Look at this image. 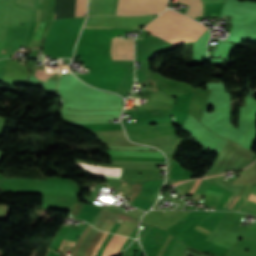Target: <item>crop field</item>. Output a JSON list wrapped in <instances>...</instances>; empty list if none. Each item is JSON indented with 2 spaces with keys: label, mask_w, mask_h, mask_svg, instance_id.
Returning <instances> with one entry per match:
<instances>
[{
  "label": "crop field",
  "mask_w": 256,
  "mask_h": 256,
  "mask_svg": "<svg viewBox=\"0 0 256 256\" xmlns=\"http://www.w3.org/2000/svg\"><path fill=\"white\" fill-rule=\"evenodd\" d=\"M0 185L14 190L26 192H48L75 196L74 188L62 181H36L26 179H6L0 180Z\"/></svg>",
  "instance_id": "obj_1"
},
{
  "label": "crop field",
  "mask_w": 256,
  "mask_h": 256,
  "mask_svg": "<svg viewBox=\"0 0 256 256\" xmlns=\"http://www.w3.org/2000/svg\"><path fill=\"white\" fill-rule=\"evenodd\" d=\"M167 0H119L116 15L158 14L164 11Z\"/></svg>",
  "instance_id": "obj_2"
},
{
  "label": "crop field",
  "mask_w": 256,
  "mask_h": 256,
  "mask_svg": "<svg viewBox=\"0 0 256 256\" xmlns=\"http://www.w3.org/2000/svg\"><path fill=\"white\" fill-rule=\"evenodd\" d=\"M152 15L140 17H110L96 16L87 17L84 27H113L137 29L150 21Z\"/></svg>",
  "instance_id": "obj_3"
},
{
  "label": "crop field",
  "mask_w": 256,
  "mask_h": 256,
  "mask_svg": "<svg viewBox=\"0 0 256 256\" xmlns=\"http://www.w3.org/2000/svg\"><path fill=\"white\" fill-rule=\"evenodd\" d=\"M29 24L11 26L8 31V35L5 41L4 50L5 54L13 55L16 48L24 44L25 36L29 27ZM2 51L3 53L5 51Z\"/></svg>",
  "instance_id": "obj_4"
},
{
  "label": "crop field",
  "mask_w": 256,
  "mask_h": 256,
  "mask_svg": "<svg viewBox=\"0 0 256 256\" xmlns=\"http://www.w3.org/2000/svg\"><path fill=\"white\" fill-rule=\"evenodd\" d=\"M112 60H133V39H112Z\"/></svg>",
  "instance_id": "obj_5"
},
{
  "label": "crop field",
  "mask_w": 256,
  "mask_h": 256,
  "mask_svg": "<svg viewBox=\"0 0 256 256\" xmlns=\"http://www.w3.org/2000/svg\"><path fill=\"white\" fill-rule=\"evenodd\" d=\"M115 0H89L88 15H113Z\"/></svg>",
  "instance_id": "obj_6"
},
{
  "label": "crop field",
  "mask_w": 256,
  "mask_h": 256,
  "mask_svg": "<svg viewBox=\"0 0 256 256\" xmlns=\"http://www.w3.org/2000/svg\"><path fill=\"white\" fill-rule=\"evenodd\" d=\"M109 156H142L164 158L160 152H142V151H108Z\"/></svg>",
  "instance_id": "obj_7"
},
{
  "label": "crop field",
  "mask_w": 256,
  "mask_h": 256,
  "mask_svg": "<svg viewBox=\"0 0 256 256\" xmlns=\"http://www.w3.org/2000/svg\"><path fill=\"white\" fill-rule=\"evenodd\" d=\"M178 1L189 5V8L185 14L193 18H195L196 16L202 15V3L200 0H178Z\"/></svg>",
  "instance_id": "obj_8"
},
{
  "label": "crop field",
  "mask_w": 256,
  "mask_h": 256,
  "mask_svg": "<svg viewBox=\"0 0 256 256\" xmlns=\"http://www.w3.org/2000/svg\"><path fill=\"white\" fill-rule=\"evenodd\" d=\"M120 239H121L120 236L113 235V237L111 238V240L109 241V243L105 247L104 251L105 252H113V250L115 249V247L119 243ZM125 240H126V238L122 237L120 243L118 244V246L116 247L114 252L118 253L120 251V249H121L123 243L125 242Z\"/></svg>",
  "instance_id": "obj_9"
},
{
  "label": "crop field",
  "mask_w": 256,
  "mask_h": 256,
  "mask_svg": "<svg viewBox=\"0 0 256 256\" xmlns=\"http://www.w3.org/2000/svg\"><path fill=\"white\" fill-rule=\"evenodd\" d=\"M46 24V21H41V22H37L36 26L34 28V32H33V36H32V40H31V46H35L37 47L38 42L40 40L41 34L44 30V26Z\"/></svg>",
  "instance_id": "obj_10"
},
{
  "label": "crop field",
  "mask_w": 256,
  "mask_h": 256,
  "mask_svg": "<svg viewBox=\"0 0 256 256\" xmlns=\"http://www.w3.org/2000/svg\"><path fill=\"white\" fill-rule=\"evenodd\" d=\"M86 14V0H77L76 17L84 16ZM55 20V13H54Z\"/></svg>",
  "instance_id": "obj_11"
},
{
  "label": "crop field",
  "mask_w": 256,
  "mask_h": 256,
  "mask_svg": "<svg viewBox=\"0 0 256 256\" xmlns=\"http://www.w3.org/2000/svg\"><path fill=\"white\" fill-rule=\"evenodd\" d=\"M15 4L34 11V0H16Z\"/></svg>",
  "instance_id": "obj_12"
},
{
  "label": "crop field",
  "mask_w": 256,
  "mask_h": 256,
  "mask_svg": "<svg viewBox=\"0 0 256 256\" xmlns=\"http://www.w3.org/2000/svg\"><path fill=\"white\" fill-rule=\"evenodd\" d=\"M108 233H104V235L102 236L101 240L99 241L98 245L96 246V248L93 250V255L92 256H96V253L101 245V243L103 242V240L105 239V237L107 236Z\"/></svg>",
  "instance_id": "obj_13"
},
{
  "label": "crop field",
  "mask_w": 256,
  "mask_h": 256,
  "mask_svg": "<svg viewBox=\"0 0 256 256\" xmlns=\"http://www.w3.org/2000/svg\"><path fill=\"white\" fill-rule=\"evenodd\" d=\"M225 0H202L203 4H207V3H222Z\"/></svg>",
  "instance_id": "obj_14"
},
{
  "label": "crop field",
  "mask_w": 256,
  "mask_h": 256,
  "mask_svg": "<svg viewBox=\"0 0 256 256\" xmlns=\"http://www.w3.org/2000/svg\"><path fill=\"white\" fill-rule=\"evenodd\" d=\"M73 241H67V244H66V246L65 247H68V248H71L72 247V245H73ZM74 246V245H73Z\"/></svg>",
  "instance_id": "obj_15"
},
{
  "label": "crop field",
  "mask_w": 256,
  "mask_h": 256,
  "mask_svg": "<svg viewBox=\"0 0 256 256\" xmlns=\"http://www.w3.org/2000/svg\"><path fill=\"white\" fill-rule=\"evenodd\" d=\"M249 200L256 201V196L251 194Z\"/></svg>",
  "instance_id": "obj_16"
},
{
  "label": "crop field",
  "mask_w": 256,
  "mask_h": 256,
  "mask_svg": "<svg viewBox=\"0 0 256 256\" xmlns=\"http://www.w3.org/2000/svg\"><path fill=\"white\" fill-rule=\"evenodd\" d=\"M67 241V240H66ZM64 242H65V240H63V243L61 244V246H60V248H59V250H61V248H62V246H63V244H64ZM66 243V242H65ZM65 245V244H64ZM63 249V248H62Z\"/></svg>",
  "instance_id": "obj_17"
},
{
  "label": "crop field",
  "mask_w": 256,
  "mask_h": 256,
  "mask_svg": "<svg viewBox=\"0 0 256 256\" xmlns=\"http://www.w3.org/2000/svg\"><path fill=\"white\" fill-rule=\"evenodd\" d=\"M199 227V226H198ZM201 228V227H200ZM203 229V228H202ZM205 230V229H204ZM207 231V230H206ZM209 232V231H208Z\"/></svg>",
  "instance_id": "obj_18"
},
{
  "label": "crop field",
  "mask_w": 256,
  "mask_h": 256,
  "mask_svg": "<svg viewBox=\"0 0 256 256\" xmlns=\"http://www.w3.org/2000/svg\"><path fill=\"white\" fill-rule=\"evenodd\" d=\"M138 39H142V38H138Z\"/></svg>",
  "instance_id": "obj_19"
},
{
  "label": "crop field",
  "mask_w": 256,
  "mask_h": 256,
  "mask_svg": "<svg viewBox=\"0 0 256 256\" xmlns=\"http://www.w3.org/2000/svg\"><path fill=\"white\" fill-rule=\"evenodd\" d=\"M0 69H2V68H0Z\"/></svg>",
  "instance_id": "obj_20"
}]
</instances>
